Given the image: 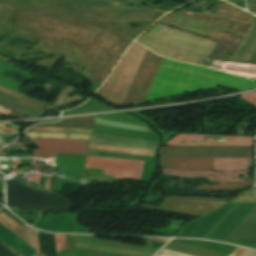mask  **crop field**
I'll return each instance as SVG.
<instances>
[{
    "label": "crop field",
    "mask_w": 256,
    "mask_h": 256,
    "mask_svg": "<svg viewBox=\"0 0 256 256\" xmlns=\"http://www.w3.org/2000/svg\"><path fill=\"white\" fill-rule=\"evenodd\" d=\"M219 85L246 90L256 87V82L164 58L146 101L155 97L179 94L200 88H217Z\"/></svg>",
    "instance_id": "obj_1"
},
{
    "label": "crop field",
    "mask_w": 256,
    "mask_h": 256,
    "mask_svg": "<svg viewBox=\"0 0 256 256\" xmlns=\"http://www.w3.org/2000/svg\"><path fill=\"white\" fill-rule=\"evenodd\" d=\"M137 41L167 58L202 65L215 42L178 31L161 24L155 25Z\"/></svg>",
    "instance_id": "obj_2"
},
{
    "label": "crop field",
    "mask_w": 256,
    "mask_h": 256,
    "mask_svg": "<svg viewBox=\"0 0 256 256\" xmlns=\"http://www.w3.org/2000/svg\"><path fill=\"white\" fill-rule=\"evenodd\" d=\"M146 48L132 44L107 82L97 92L113 103L121 104L135 76Z\"/></svg>",
    "instance_id": "obj_3"
},
{
    "label": "crop field",
    "mask_w": 256,
    "mask_h": 256,
    "mask_svg": "<svg viewBox=\"0 0 256 256\" xmlns=\"http://www.w3.org/2000/svg\"><path fill=\"white\" fill-rule=\"evenodd\" d=\"M144 161L87 157L84 167L104 168V174L116 178H141Z\"/></svg>",
    "instance_id": "obj_4"
},
{
    "label": "crop field",
    "mask_w": 256,
    "mask_h": 256,
    "mask_svg": "<svg viewBox=\"0 0 256 256\" xmlns=\"http://www.w3.org/2000/svg\"><path fill=\"white\" fill-rule=\"evenodd\" d=\"M40 150H33V155H56V153L86 155L89 141L67 139L29 138ZM56 157V156H33Z\"/></svg>",
    "instance_id": "obj_5"
},
{
    "label": "crop field",
    "mask_w": 256,
    "mask_h": 256,
    "mask_svg": "<svg viewBox=\"0 0 256 256\" xmlns=\"http://www.w3.org/2000/svg\"><path fill=\"white\" fill-rule=\"evenodd\" d=\"M169 145H253V139L247 137H216L195 134H179Z\"/></svg>",
    "instance_id": "obj_6"
},
{
    "label": "crop field",
    "mask_w": 256,
    "mask_h": 256,
    "mask_svg": "<svg viewBox=\"0 0 256 256\" xmlns=\"http://www.w3.org/2000/svg\"><path fill=\"white\" fill-rule=\"evenodd\" d=\"M163 174L171 176H182V177H198L208 178L210 181H235L239 180L234 176L245 175V171L238 172H227V173H213V172H185L177 170L164 169Z\"/></svg>",
    "instance_id": "obj_7"
},
{
    "label": "crop field",
    "mask_w": 256,
    "mask_h": 256,
    "mask_svg": "<svg viewBox=\"0 0 256 256\" xmlns=\"http://www.w3.org/2000/svg\"><path fill=\"white\" fill-rule=\"evenodd\" d=\"M251 164V158L242 159H228V158H214L213 168L216 171L224 170H245Z\"/></svg>",
    "instance_id": "obj_8"
},
{
    "label": "crop field",
    "mask_w": 256,
    "mask_h": 256,
    "mask_svg": "<svg viewBox=\"0 0 256 256\" xmlns=\"http://www.w3.org/2000/svg\"><path fill=\"white\" fill-rule=\"evenodd\" d=\"M0 222L27 243L25 227L20 225L2 210H0Z\"/></svg>",
    "instance_id": "obj_9"
},
{
    "label": "crop field",
    "mask_w": 256,
    "mask_h": 256,
    "mask_svg": "<svg viewBox=\"0 0 256 256\" xmlns=\"http://www.w3.org/2000/svg\"><path fill=\"white\" fill-rule=\"evenodd\" d=\"M40 253L44 256H56L53 235L38 232Z\"/></svg>",
    "instance_id": "obj_10"
},
{
    "label": "crop field",
    "mask_w": 256,
    "mask_h": 256,
    "mask_svg": "<svg viewBox=\"0 0 256 256\" xmlns=\"http://www.w3.org/2000/svg\"><path fill=\"white\" fill-rule=\"evenodd\" d=\"M93 130H77L62 128H31L26 132L29 133H46V134H83L91 135Z\"/></svg>",
    "instance_id": "obj_11"
},
{
    "label": "crop field",
    "mask_w": 256,
    "mask_h": 256,
    "mask_svg": "<svg viewBox=\"0 0 256 256\" xmlns=\"http://www.w3.org/2000/svg\"><path fill=\"white\" fill-rule=\"evenodd\" d=\"M95 123L109 125V126H113V127H119V128H125V129L138 130V131H144V132L152 133L151 131L148 130V128H145V127L123 124V123H117V122H111V121L102 120V119H98V118H96Z\"/></svg>",
    "instance_id": "obj_12"
},
{
    "label": "crop field",
    "mask_w": 256,
    "mask_h": 256,
    "mask_svg": "<svg viewBox=\"0 0 256 256\" xmlns=\"http://www.w3.org/2000/svg\"><path fill=\"white\" fill-rule=\"evenodd\" d=\"M30 137H52V138H71V139H89L90 136L81 135H45V134H25Z\"/></svg>",
    "instance_id": "obj_13"
},
{
    "label": "crop field",
    "mask_w": 256,
    "mask_h": 256,
    "mask_svg": "<svg viewBox=\"0 0 256 256\" xmlns=\"http://www.w3.org/2000/svg\"><path fill=\"white\" fill-rule=\"evenodd\" d=\"M27 230H28L30 245L39 251L37 232L28 227H27Z\"/></svg>",
    "instance_id": "obj_14"
},
{
    "label": "crop field",
    "mask_w": 256,
    "mask_h": 256,
    "mask_svg": "<svg viewBox=\"0 0 256 256\" xmlns=\"http://www.w3.org/2000/svg\"><path fill=\"white\" fill-rule=\"evenodd\" d=\"M57 252L66 248L65 235H54Z\"/></svg>",
    "instance_id": "obj_15"
},
{
    "label": "crop field",
    "mask_w": 256,
    "mask_h": 256,
    "mask_svg": "<svg viewBox=\"0 0 256 256\" xmlns=\"http://www.w3.org/2000/svg\"><path fill=\"white\" fill-rule=\"evenodd\" d=\"M250 252H251V250H247V249L237 247L229 256H246ZM247 256H256V252L253 251Z\"/></svg>",
    "instance_id": "obj_16"
},
{
    "label": "crop field",
    "mask_w": 256,
    "mask_h": 256,
    "mask_svg": "<svg viewBox=\"0 0 256 256\" xmlns=\"http://www.w3.org/2000/svg\"><path fill=\"white\" fill-rule=\"evenodd\" d=\"M156 256H188L181 253L169 251V250H161Z\"/></svg>",
    "instance_id": "obj_17"
},
{
    "label": "crop field",
    "mask_w": 256,
    "mask_h": 256,
    "mask_svg": "<svg viewBox=\"0 0 256 256\" xmlns=\"http://www.w3.org/2000/svg\"><path fill=\"white\" fill-rule=\"evenodd\" d=\"M244 100L250 103H254L256 106V92L251 94H246L241 96Z\"/></svg>",
    "instance_id": "obj_18"
},
{
    "label": "crop field",
    "mask_w": 256,
    "mask_h": 256,
    "mask_svg": "<svg viewBox=\"0 0 256 256\" xmlns=\"http://www.w3.org/2000/svg\"><path fill=\"white\" fill-rule=\"evenodd\" d=\"M0 111L3 112V113H6V114L14 112V111L8 110V109L3 108V107H0Z\"/></svg>",
    "instance_id": "obj_19"
},
{
    "label": "crop field",
    "mask_w": 256,
    "mask_h": 256,
    "mask_svg": "<svg viewBox=\"0 0 256 256\" xmlns=\"http://www.w3.org/2000/svg\"><path fill=\"white\" fill-rule=\"evenodd\" d=\"M5 125L10 126V127L14 128V129H16V130H18V129L21 128V127H18V126H16V125H13V124H11V123H6Z\"/></svg>",
    "instance_id": "obj_20"
},
{
    "label": "crop field",
    "mask_w": 256,
    "mask_h": 256,
    "mask_svg": "<svg viewBox=\"0 0 256 256\" xmlns=\"http://www.w3.org/2000/svg\"><path fill=\"white\" fill-rule=\"evenodd\" d=\"M0 126H1V127H4V128H7V129H9V130H11V131H13V132H17V131H15V130H13V129L7 127V126H4V125H2V124H0Z\"/></svg>",
    "instance_id": "obj_21"
},
{
    "label": "crop field",
    "mask_w": 256,
    "mask_h": 256,
    "mask_svg": "<svg viewBox=\"0 0 256 256\" xmlns=\"http://www.w3.org/2000/svg\"><path fill=\"white\" fill-rule=\"evenodd\" d=\"M34 256H42V255H40L39 253H37L36 255H34Z\"/></svg>",
    "instance_id": "obj_22"
}]
</instances>
